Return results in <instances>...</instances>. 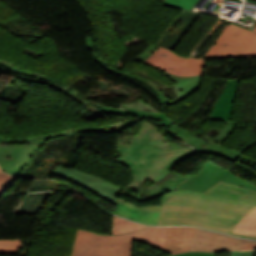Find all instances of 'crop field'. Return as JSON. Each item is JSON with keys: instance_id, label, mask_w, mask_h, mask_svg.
I'll use <instances>...</instances> for the list:
<instances>
[{"instance_id": "1", "label": "crop field", "mask_w": 256, "mask_h": 256, "mask_svg": "<svg viewBox=\"0 0 256 256\" xmlns=\"http://www.w3.org/2000/svg\"><path fill=\"white\" fill-rule=\"evenodd\" d=\"M195 153L165 139L154 126L144 122L133 139L117 142L114 161L131 168L133 181L123 193L143 200L170 192L192 176L169 174L181 159Z\"/></svg>"}, {"instance_id": "2", "label": "crop field", "mask_w": 256, "mask_h": 256, "mask_svg": "<svg viewBox=\"0 0 256 256\" xmlns=\"http://www.w3.org/2000/svg\"><path fill=\"white\" fill-rule=\"evenodd\" d=\"M139 210L161 211L158 225H192L256 240V236L232 233L238 222L255 207L195 191H174L164 194L162 206L135 207Z\"/></svg>"}, {"instance_id": "3", "label": "crop field", "mask_w": 256, "mask_h": 256, "mask_svg": "<svg viewBox=\"0 0 256 256\" xmlns=\"http://www.w3.org/2000/svg\"><path fill=\"white\" fill-rule=\"evenodd\" d=\"M167 227H150L123 235L77 230L70 256H133L135 241L163 250Z\"/></svg>"}, {"instance_id": "4", "label": "crop field", "mask_w": 256, "mask_h": 256, "mask_svg": "<svg viewBox=\"0 0 256 256\" xmlns=\"http://www.w3.org/2000/svg\"><path fill=\"white\" fill-rule=\"evenodd\" d=\"M136 121L138 119L122 120L103 127L67 129L65 132L27 139L25 145L0 144V167L6 173L18 176L29 161L34 148L39 149L37 143L43 144L53 137L78 136L76 132H122L128 125H132Z\"/></svg>"}, {"instance_id": "5", "label": "crop field", "mask_w": 256, "mask_h": 256, "mask_svg": "<svg viewBox=\"0 0 256 256\" xmlns=\"http://www.w3.org/2000/svg\"><path fill=\"white\" fill-rule=\"evenodd\" d=\"M93 41H94V36H86V45H87V47L93 51L95 61L100 63L103 68L113 72L114 74H116V75H118V76H120V77H122L124 79H128L130 81H133V82L139 84L144 89H146L157 100L161 99L162 97H164L159 92L164 90L168 86L163 84L161 87H159V86L155 85L153 82H151V81H149L147 79L141 80V79H139V78H137V77H135V76H133L131 74H128V73L127 74H123V73H120V72L114 70L113 68L110 67V65H108L106 62H104L102 59H100L97 56V54L95 52V49H94ZM150 105L147 104L146 102H144L143 100H140L138 102L123 104L122 107L127 109V110H129V111H131V112H133L134 114L138 115L141 118L148 119L150 121L155 122L156 124H158L159 126L164 128L167 132L171 131L168 127H170L173 123L171 121H169L165 117V107L167 105L165 103L161 104V106L163 108V112L162 113H157L156 112V108H154V107H152ZM144 108L149 109L150 113H147V112L143 113V112L140 111V110H142Z\"/></svg>"}, {"instance_id": "6", "label": "crop field", "mask_w": 256, "mask_h": 256, "mask_svg": "<svg viewBox=\"0 0 256 256\" xmlns=\"http://www.w3.org/2000/svg\"><path fill=\"white\" fill-rule=\"evenodd\" d=\"M256 56V33L229 24L204 57Z\"/></svg>"}, {"instance_id": "7", "label": "crop field", "mask_w": 256, "mask_h": 256, "mask_svg": "<svg viewBox=\"0 0 256 256\" xmlns=\"http://www.w3.org/2000/svg\"><path fill=\"white\" fill-rule=\"evenodd\" d=\"M57 177L69 180L77 185H80L105 200H108L117 205V196L121 193L123 188L106 181L100 177L79 172L74 169H67L65 167L58 166L52 173Z\"/></svg>"}, {"instance_id": "8", "label": "crop field", "mask_w": 256, "mask_h": 256, "mask_svg": "<svg viewBox=\"0 0 256 256\" xmlns=\"http://www.w3.org/2000/svg\"><path fill=\"white\" fill-rule=\"evenodd\" d=\"M146 62L179 76H195L204 74V59H186L159 47Z\"/></svg>"}, {"instance_id": "9", "label": "crop field", "mask_w": 256, "mask_h": 256, "mask_svg": "<svg viewBox=\"0 0 256 256\" xmlns=\"http://www.w3.org/2000/svg\"><path fill=\"white\" fill-rule=\"evenodd\" d=\"M219 180L256 190L254 185L235 177L232 172H229L208 160L195 176L190 178L175 190L193 189L203 193Z\"/></svg>"}, {"instance_id": "10", "label": "crop field", "mask_w": 256, "mask_h": 256, "mask_svg": "<svg viewBox=\"0 0 256 256\" xmlns=\"http://www.w3.org/2000/svg\"><path fill=\"white\" fill-rule=\"evenodd\" d=\"M241 239L196 228L189 251L223 252L239 250Z\"/></svg>"}, {"instance_id": "11", "label": "crop field", "mask_w": 256, "mask_h": 256, "mask_svg": "<svg viewBox=\"0 0 256 256\" xmlns=\"http://www.w3.org/2000/svg\"><path fill=\"white\" fill-rule=\"evenodd\" d=\"M158 47L154 45L148 46L144 51H142L136 58H134L135 61L145 63V60L153 53ZM156 68V67H155ZM158 69V68H156ZM160 70V69H158ZM162 73H164L166 76L170 77L174 83L175 89H173L178 99H174L172 97L165 96L164 98L159 100L160 103L165 102L167 105L176 104L180 100L186 98L190 94H192L194 91L197 90L198 87H200L202 76H195V77H179V76H173L165 71L160 70ZM161 93V92H160ZM162 94V93H161Z\"/></svg>"}, {"instance_id": "12", "label": "crop field", "mask_w": 256, "mask_h": 256, "mask_svg": "<svg viewBox=\"0 0 256 256\" xmlns=\"http://www.w3.org/2000/svg\"><path fill=\"white\" fill-rule=\"evenodd\" d=\"M170 129L172 131L168 134H170L172 137H175L181 140L186 144L193 146L195 150H197L198 152H209V153L218 154V155L227 157L233 160L234 162L238 159V157L241 155L244 149L248 148L250 145L255 143V141L250 142L249 144L244 146L241 149V151L238 152L229 148H225L223 146H218V145L206 142L204 140H198L196 137L191 136L190 134H188L186 131H184L177 125H172Z\"/></svg>"}, {"instance_id": "13", "label": "crop field", "mask_w": 256, "mask_h": 256, "mask_svg": "<svg viewBox=\"0 0 256 256\" xmlns=\"http://www.w3.org/2000/svg\"><path fill=\"white\" fill-rule=\"evenodd\" d=\"M204 194L240 200L256 206V191L219 181Z\"/></svg>"}, {"instance_id": "14", "label": "crop field", "mask_w": 256, "mask_h": 256, "mask_svg": "<svg viewBox=\"0 0 256 256\" xmlns=\"http://www.w3.org/2000/svg\"><path fill=\"white\" fill-rule=\"evenodd\" d=\"M194 229L192 227H168L164 251L172 254L188 251Z\"/></svg>"}, {"instance_id": "15", "label": "crop field", "mask_w": 256, "mask_h": 256, "mask_svg": "<svg viewBox=\"0 0 256 256\" xmlns=\"http://www.w3.org/2000/svg\"><path fill=\"white\" fill-rule=\"evenodd\" d=\"M239 80H228L224 93L213 107L211 115L221 120H229L234 105Z\"/></svg>"}, {"instance_id": "16", "label": "crop field", "mask_w": 256, "mask_h": 256, "mask_svg": "<svg viewBox=\"0 0 256 256\" xmlns=\"http://www.w3.org/2000/svg\"><path fill=\"white\" fill-rule=\"evenodd\" d=\"M0 71L1 72H7V73L15 75V76L24 77L28 80H33V81H38V82L49 84V85L65 92V93H67L71 97L76 94L75 91L71 90L70 88H68V87H66V86H64V85H62L58 82H55L53 80L47 79V78L42 77V76H39L37 74H33V73H30V72L20 70L18 68H15L13 66H10V65L2 63V62H0Z\"/></svg>"}, {"instance_id": "17", "label": "crop field", "mask_w": 256, "mask_h": 256, "mask_svg": "<svg viewBox=\"0 0 256 256\" xmlns=\"http://www.w3.org/2000/svg\"><path fill=\"white\" fill-rule=\"evenodd\" d=\"M114 213L149 225H157L159 216V212L138 211L132 208H127L119 203L118 208Z\"/></svg>"}, {"instance_id": "18", "label": "crop field", "mask_w": 256, "mask_h": 256, "mask_svg": "<svg viewBox=\"0 0 256 256\" xmlns=\"http://www.w3.org/2000/svg\"><path fill=\"white\" fill-rule=\"evenodd\" d=\"M144 228H147V227L113 216L111 234H120L125 232L138 231Z\"/></svg>"}, {"instance_id": "19", "label": "crop field", "mask_w": 256, "mask_h": 256, "mask_svg": "<svg viewBox=\"0 0 256 256\" xmlns=\"http://www.w3.org/2000/svg\"><path fill=\"white\" fill-rule=\"evenodd\" d=\"M234 232L256 235V208L239 222Z\"/></svg>"}, {"instance_id": "20", "label": "crop field", "mask_w": 256, "mask_h": 256, "mask_svg": "<svg viewBox=\"0 0 256 256\" xmlns=\"http://www.w3.org/2000/svg\"><path fill=\"white\" fill-rule=\"evenodd\" d=\"M207 119L218 120L212 116H209ZM224 123H225L224 127L222 129H217L216 130L217 132L210 130L211 132L218 134L216 137L212 138L208 135L203 134V139H205L206 141L221 145V142H223V140L232 132L236 124V122H228V121H224Z\"/></svg>"}, {"instance_id": "21", "label": "crop field", "mask_w": 256, "mask_h": 256, "mask_svg": "<svg viewBox=\"0 0 256 256\" xmlns=\"http://www.w3.org/2000/svg\"><path fill=\"white\" fill-rule=\"evenodd\" d=\"M24 239L0 240V253L19 254Z\"/></svg>"}, {"instance_id": "22", "label": "crop field", "mask_w": 256, "mask_h": 256, "mask_svg": "<svg viewBox=\"0 0 256 256\" xmlns=\"http://www.w3.org/2000/svg\"><path fill=\"white\" fill-rule=\"evenodd\" d=\"M198 0H165L163 3L166 6L184 10L191 11L193 6L196 4Z\"/></svg>"}, {"instance_id": "23", "label": "crop field", "mask_w": 256, "mask_h": 256, "mask_svg": "<svg viewBox=\"0 0 256 256\" xmlns=\"http://www.w3.org/2000/svg\"><path fill=\"white\" fill-rule=\"evenodd\" d=\"M15 179L16 178L8 176L0 170V193H4Z\"/></svg>"}, {"instance_id": "24", "label": "crop field", "mask_w": 256, "mask_h": 256, "mask_svg": "<svg viewBox=\"0 0 256 256\" xmlns=\"http://www.w3.org/2000/svg\"><path fill=\"white\" fill-rule=\"evenodd\" d=\"M173 256H216V253L188 252Z\"/></svg>"}, {"instance_id": "25", "label": "crop field", "mask_w": 256, "mask_h": 256, "mask_svg": "<svg viewBox=\"0 0 256 256\" xmlns=\"http://www.w3.org/2000/svg\"><path fill=\"white\" fill-rule=\"evenodd\" d=\"M250 249H256V242H249L244 240L240 250H250Z\"/></svg>"}, {"instance_id": "26", "label": "crop field", "mask_w": 256, "mask_h": 256, "mask_svg": "<svg viewBox=\"0 0 256 256\" xmlns=\"http://www.w3.org/2000/svg\"><path fill=\"white\" fill-rule=\"evenodd\" d=\"M26 139H17V140H7L0 139V143H8V144H24Z\"/></svg>"}, {"instance_id": "27", "label": "crop field", "mask_w": 256, "mask_h": 256, "mask_svg": "<svg viewBox=\"0 0 256 256\" xmlns=\"http://www.w3.org/2000/svg\"><path fill=\"white\" fill-rule=\"evenodd\" d=\"M229 256H254V251H247V252H229Z\"/></svg>"}, {"instance_id": "28", "label": "crop field", "mask_w": 256, "mask_h": 256, "mask_svg": "<svg viewBox=\"0 0 256 256\" xmlns=\"http://www.w3.org/2000/svg\"><path fill=\"white\" fill-rule=\"evenodd\" d=\"M72 98L75 99V101L79 102L81 105H83L85 108L87 107V105L89 104V102L87 100H85L82 96H80L78 93L73 96Z\"/></svg>"}, {"instance_id": "29", "label": "crop field", "mask_w": 256, "mask_h": 256, "mask_svg": "<svg viewBox=\"0 0 256 256\" xmlns=\"http://www.w3.org/2000/svg\"><path fill=\"white\" fill-rule=\"evenodd\" d=\"M254 32H256V27H255V29H254Z\"/></svg>"}, {"instance_id": "30", "label": "crop field", "mask_w": 256, "mask_h": 256, "mask_svg": "<svg viewBox=\"0 0 256 256\" xmlns=\"http://www.w3.org/2000/svg\"><path fill=\"white\" fill-rule=\"evenodd\" d=\"M41 145L40 144H38V147H40Z\"/></svg>"}]
</instances>
